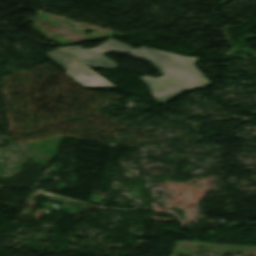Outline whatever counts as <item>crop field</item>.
<instances>
[{"mask_svg":"<svg viewBox=\"0 0 256 256\" xmlns=\"http://www.w3.org/2000/svg\"><path fill=\"white\" fill-rule=\"evenodd\" d=\"M68 52L85 64L105 69H114L117 64L103 54L121 52L150 61L162 74L159 78L149 75L138 77L146 83L158 104H166L176 95L191 89H201L209 85V81L194 66L197 57H187L175 53L142 47L135 50L125 43L110 39L94 49H83L80 46L64 47ZM184 93V92H183Z\"/></svg>","mask_w":256,"mask_h":256,"instance_id":"crop-field-1","label":"crop field"},{"mask_svg":"<svg viewBox=\"0 0 256 256\" xmlns=\"http://www.w3.org/2000/svg\"><path fill=\"white\" fill-rule=\"evenodd\" d=\"M47 54L48 57L67 69V75L85 88L116 87L60 49L48 52Z\"/></svg>","mask_w":256,"mask_h":256,"instance_id":"crop-field-2","label":"crop field"}]
</instances>
